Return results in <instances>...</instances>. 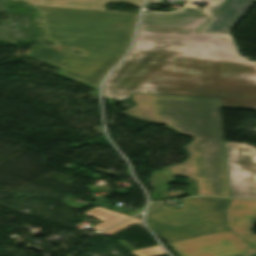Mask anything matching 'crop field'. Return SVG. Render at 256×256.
I'll list each match as a JSON object with an SVG mask.
<instances>
[{"instance_id": "obj_1", "label": "crop field", "mask_w": 256, "mask_h": 256, "mask_svg": "<svg viewBox=\"0 0 256 256\" xmlns=\"http://www.w3.org/2000/svg\"><path fill=\"white\" fill-rule=\"evenodd\" d=\"M204 9L143 13L130 55L107 77L106 99L132 92L220 98L256 109V62L240 58L227 35L197 33Z\"/></svg>"}, {"instance_id": "obj_2", "label": "crop field", "mask_w": 256, "mask_h": 256, "mask_svg": "<svg viewBox=\"0 0 256 256\" xmlns=\"http://www.w3.org/2000/svg\"><path fill=\"white\" fill-rule=\"evenodd\" d=\"M25 1L41 11V16L34 17L41 40L57 44L38 46L29 56L60 66L59 74L98 89L102 77L128 50L138 15L104 11L102 4L119 1L140 6L143 0ZM72 49L85 55H76Z\"/></svg>"}, {"instance_id": "obj_3", "label": "crop field", "mask_w": 256, "mask_h": 256, "mask_svg": "<svg viewBox=\"0 0 256 256\" xmlns=\"http://www.w3.org/2000/svg\"><path fill=\"white\" fill-rule=\"evenodd\" d=\"M137 105L123 114L165 124L205 141H223L218 99L132 93Z\"/></svg>"}, {"instance_id": "obj_4", "label": "crop field", "mask_w": 256, "mask_h": 256, "mask_svg": "<svg viewBox=\"0 0 256 256\" xmlns=\"http://www.w3.org/2000/svg\"><path fill=\"white\" fill-rule=\"evenodd\" d=\"M184 148L188 158L182 164L155 172L172 179L183 175L198 180L199 195L229 197L223 142L193 140Z\"/></svg>"}, {"instance_id": "obj_5", "label": "crop field", "mask_w": 256, "mask_h": 256, "mask_svg": "<svg viewBox=\"0 0 256 256\" xmlns=\"http://www.w3.org/2000/svg\"><path fill=\"white\" fill-rule=\"evenodd\" d=\"M181 201L183 206L179 210L171 207H164V202L150 204L147 219L171 228H178L211 220L216 232L229 230L226 226L225 215L229 199L218 197H195ZM187 211H191V213H188Z\"/></svg>"}, {"instance_id": "obj_6", "label": "crop field", "mask_w": 256, "mask_h": 256, "mask_svg": "<svg viewBox=\"0 0 256 256\" xmlns=\"http://www.w3.org/2000/svg\"><path fill=\"white\" fill-rule=\"evenodd\" d=\"M231 197L256 199V148L225 142Z\"/></svg>"}, {"instance_id": "obj_7", "label": "crop field", "mask_w": 256, "mask_h": 256, "mask_svg": "<svg viewBox=\"0 0 256 256\" xmlns=\"http://www.w3.org/2000/svg\"><path fill=\"white\" fill-rule=\"evenodd\" d=\"M171 245L182 256H244L255 251L231 231Z\"/></svg>"}, {"instance_id": "obj_8", "label": "crop field", "mask_w": 256, "mask_h": 256, "mask_svg": "<svg viewBox=\"0 0 256 256\" xmlns=\"http://www.w3.org/2000/svg\"><path fill=\"white\" fill-rule=\"evenodd\" d=\"M231 200L227 210L229 227L256 249V235L251 234L256 225V201Z\"/></svg>"}, {"instance_id": "obj_9", "label": "crop field", "mask_w": 256, "mask_h": 256, "mask_svg": "<svg viewBox=\"0 0 256 256\" xmlns=\"http://www.w3.org/2000/svg\"><path fill=\"white\" fill-rule=\"evenodd\" d=\"M255 1L256 0H228L216 13L213 21L210 22L203 31L230 34L229 31Z\"/></svg>"}, {"instance_id": "obj_10", "label": "crop field", "mask_w": 256, "mask_h": 256, "mask_svg": "<svg viewBox=\"0 0 256 256\" xmlns=\"http://www.w3.org/2000/svg\"><path fill=\"white\" fill-rule=\"evenodd\" d=\"M147 223L153 229V231L158 235V237L164 239L168 243L214 233L210 222L191 226V227L181 228L177 230H171L169 228L158 225L151 221H147Z\"/></svg>"}, {"instance_id": "obj_11", "label": "crop field", "mask_w": 256, "mask_h": 256, "mask_svg": "<svg viewBox=\"0 0 256 256\" xmlns=\"http://www.w3.org/2000/svg\"><path fill=\"white\" fill-rule=\"evenodd\" d=\"M85 214L89 215V216H93L95 218H98V219L104 221L103 223L93 227L98 230H104V229L130 217V216H126L123 214L105 210L99 206L85 212Z\"/></svg>"}, {"instance_id": "obj_12", "label": "crop field", "mask_w": 256, "mask_h": 256, "mask_svg": "<svg viewBox=\"0 0 256 256\" xmlns=\"http://www.w3.org/2000/svg\"><path fill=\"white\" fill-rule=\"evenodd\" d=\"M117 242L121 244L125 249L130 251L132 254H134L135 256H155V255L164 253L159 246L148 247L140 250H134L130 245H128L123 240H117Z\"/></svg>"}, {"instance_id": "obj_13", "label": "crop field", "mask_w": 256, "mask_h": 256, "mask_svg": "<svg viewBox=\"0 0 256 256\" xmlns=\"http://www.w3.org/2000/svg\"><path fill=\"white\" fill-rule=\"evenodd\" d=\"M132 223H140V224H142L140 219L133 218V219H131L129 221H125V222H123V223H121V224H119V225H117V226H115V227H113V228L103 232V234L113 235V234H115V233L125 229L126 227H128Z\"/></svg>"}, {"instance_id": "obj_14", "label": "crop field", "mask_w": 256, "mask_h": 256, "mask_svg": "<svg viewBox=\"0 0 256 256\" xmlns=\"http://www.w3.org/2000/svg\"><path fill=\"white\" fill-rule=\"evenodd\" d=\"M225 0H213L212 3L207 7L209 13L213 16L219 7L224 3Z\"/></svg>"}, {"instance_id": "obj_15", "label": "crop field", "mask_w": 256, "mask_h": 256, "mask_svg": "<svg viewBox=\"0 0 256 256\" xmlns=\"http://www.w3.org/2000/svg\"><path fill=\"white\" fill-rule=\"evenodd\" d=\"M163 3V0H148L145 7H149L151 4Z\"/></svg>"}, {"instance_id": "obj_16", "label": "crop field", "mask_w": 256, "mask_h": 256, "mask_svg": "<svg viewBox=\"0 0 256 256\" xmlns=\"http://www.w3.org/2000/svg\"><path fill=\"white\" fill-rule=\"evenodd\" d=\"M249 256H256V252H255V253H253V254H251V255H249Z\"/></svg>"}]
</instances>
